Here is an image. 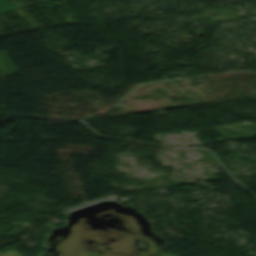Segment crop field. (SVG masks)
Segmentation results:
<instances>
[{"label":"crop field","instance_id":"1","mask_svg":"<svg viewBox=\"0 0 256 256\" xmlns=\"http://www.w3.org/2000/svg\"><path fill=\"white\" fill-rule=\"evenodd\" d=\"M12 8H16V7L5 0H0V12L4 10L12 9Z\"/></svg>","mask_w":256,"mask_h":256}]
</instances>
